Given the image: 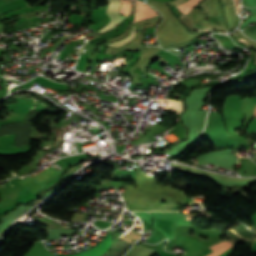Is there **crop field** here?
<instances>
[{"instance_id": "crop-field-2", "label": "crop field", "mask_w": 256, "mask_h": 256, "mask_svg": "<svg viewBox=\"0 0 256 256\" xmlns=\"http://www.w3.org/2000/svg\"><path fill=\"white\" fill-rule=\"evenodd\" d=\"M230 246H231V243H228L226 241L220 242V243L210 247L213 250V252L207 256H217V255L221 254L222 252H224L226 249L230 248Z\"/></svg>"}, {"instance_id": "crop-field-5", "label": "crop field", "mask_w": 256, "mask_h": 256, "mask_svg": "<svg viewBox=\"0 0 256 256\" xmlns=\"http://www.w3.org/2000/svg\"><path fill=\"white\" fill-rule=\"evenodd\" d=\"M122 6H121V10H120V13L125 15V16H128V9H130V1H122Z\"/></svg>"}, {"instance_id": "crop-field-1", "label": "crop field", "mask_w": 256, "mask_h": 256, "mask_svg": "<svg viewBox=\"0 0 256 256\" xmlns=\"http://www.w3.org/2000/svg\"><path fill=\"white\" fill-rule=\"evenodd\" d=\"M108 2H109V6L107 8L106 13L110 18V23L99 30V32L101 33L118 25V23L125 17L118 14V9L121 5V2L119 0H108Z\"/></svg>"}, {"instance_id": "crop-field-8", "label": "crop field", "mask_w": 256, "mask_h": 256, "mask_svg": "<svg viewBox=\"0 0 256 256\" xmlns=\"http://www.w3.org/2000/svg\"><path fill=\"white\" fill-rule=\"evenodd\" d=\"M254 116H256V109H255V113H254Z\"/></svg>"}, {"instance_id": "crop-field-6", "label": "crop field", "mask_w": 256, "mask_h": 256, "mask_svg": "<svg viewBox=\"0 0 256 256\" xmlns=\"http://www.w3.org/2000/svg\"><path fill=\"white\" fill-rule=\"evenodd\" d=\"M136 2H137V11L135 12V15H134L135 19L144 16L142 8H141V2H139L138 0H136Z\"/></svg>"}, {"instance_id": "crop-field-3", "label": "crop field", "mask_w": 256, "mask_h": 256, "mask_svg": "<svg viewBox=\"0 0 256 256\" xmlns=\"http://www.w3.org/2000/svg\"><path fill=\"white\" fill-rule=\"evenodd\" d=\"M136 27H137V26H135V25L133 26V28H132V30H131L129 36H127V37H125L124 39H121V40H119V41L110 43V44H108V45L113 46V47H117V46H121V45L126 44L128 41H130L131 39L135 38V36H136Z\"/></svg>"}, {"instance_id": "crop-field-7", "label": "crop field", "mask_w": 256, "mask_h": 256, "mask_svg": "<svg viewBox=\"0 0 256 256\" xmlns=\"http://www.w3.org/2000/svg\"><path fill=\"white\" fill-rule=\"evenodd\" d=\"M182 1H184V0H172V1H170L169 3H170V4H179V3H181Z\"/></svg>"}, {"instance_id": "crop-field-4", "label": "crop field", "mask_w": 256, "mask_h": 256, "mask_svg": "<svg viewBox=\"0 0 256 256\" xmlns=\"http://www.w3.org/2000/svg\"><path fill=\"white\" fill-rule=\"evenodd\" d=\"M201 0H188L184 4L177 6L182 13H189Z\"/></svg>"}]
</instances>
